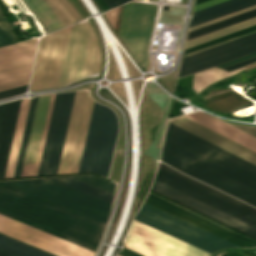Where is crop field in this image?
Returning a JSON list of instances; mask_svg holds the SVG:
<instances>
[{"label": "crop field", "instance_id": "crop-field-1", "mask_svg": "<svg viewBox=\"0 0 256 256\" xmlns=\"http://www.w3.org/2000/svg\"><path fill=\"white\" fill-rule=\"evenodd\" d=\"M161 161L256 207V166L168 123Z\"/></svg>", "mask_w": 256, "mask_h": 256}, {"label": "crop field", "instance_id": "crop-field-2", "mask_svg": "<svg viewBox=\"0 0 256 256\" xmlns=\"http://www.w3.org/2000/svg\"><path fill=\"white\" fill-rule=\"evenodd\" d=\"M0 213L95 251L105 223L0 182Z\"/></svg>", "mask_w": 256, "mask_h": 256}, {"label": "crop field", "instance_id": "crop-field-3", "mask_svg": "<svg viewBox=\"0 0 256 256\" xmlns=\"http://www.w3.org/2000/svg\"><path fill=\"white\" fill-rule=\"evenodd\" d=\"M10 185L106 223L110 204L49 178L7 181Z\"/></svg>", "mask_w": 256, "mask_h": 256}, {"label": "crop field", "instance_id": "crop-field-4", "mask_svg": "<svg viewBox=\"0 0 256 256\" xmlns=\"http://www.w3.org/2000/svg\"><path fill=\"white\" fill-rule=\"evenodd\" d=\"M134 219L210 254L226 247H239L144 203Z\"/></svg>", "mask_w": 256, "mask_h": 256}, {"label": "crop field", "instance_id": "crop-field-5", "mask_svg": "<svg viewBox=\"0 0 256 256\" xmlns=\"http://www.w3.org/2000/svg\"><path fill=\"white\" fill-rule=\"evenodd\" d=\"M99 66L100 52L90 24L73 25L59 87L97 73Z\"/></svg>", "mask_w": 256, "mask_h": 256}, {"label": "crop field", "instance_id": "crop-field-6", "mask_svg": "<svg viewBox=\"0 0 256 256\" xmlns=\"http://www.w3.org/2000/svg\"><path fill=\"white\" fill-rule=\"evenodd\" d=\"M117 130L116 120L93 109L79 172L94 171L107 177Z\"/></svg>", "mask_w": 256, "mask_h": 256}, {"label": "crop field", "instance_id": "crop-field-7", "mask_svg": "<svg viewBox=\"0 0 256 256\" xmlns=\"http://www.w3.org/2000/svg\"><path fill=\"white\" fill-rule=\"evenodd\" d=\"M70 28L41 38L29 90L58 87Z\"/></svg>", "mask_w": 256, "mask_h": 256}, {"label": "crop field", "instance_id": "crop-field-8", "mask_svg": "<svg viewBox=\"0 0 256 256\" xmlns=\"http://www.w3.org/2000/svg\"><path fill=\"white\" fill-rule=\"evenodd\" d=\"M75 92L56 94L38 175L56 174Z\"/></svg>", "mask_w": 256, "mask_h": 256}, {"label": "crop field", "instance_id": "crop-field-9", "mask_svg": "<svg viewBox=\"0 0 256 256\" xmlns=\"http://www.w3.org/2000/svg\"><path fill=\"white\" fill-rule=\"evenodd\" d=\"M256 52V33L183 57L179 75L184 76Z\"/></svg>", "mask_w": 256, "mask_h": 256}, {"label": "crop field", "instance_id": "crop-field-10", "mask_svg": "<svg viewBox=\"0 0 256 256\" xmlns=\"http://www.w3.org/2000/svg\"><path fill=\"white\" fill-rule=\"evenodd\" d=\"M37 41L0 48V91L28 84Z\"/></svg>", "mask_w": 256, "mask_h": 256}, {"label": "crop field", "instance_id": "crop-field-11", "mask_svg": "<svg viewBox=\"0 0 256 256\" xmlns=\"http://www.w3.org/2000/svg\"><path fill=\"white\" fill-rule=\"evenodd\" d=\"M176 239L133 220L125 241L157 256H209L210 254Z\"/></svg>", "mask_w": 256, "mask_h": 256}, {"label": "crop field", "instance_id": "crop-field-12", "mask_svg": "<svg viewBox=\"0 0 256 256\" xmlns=\"http://www.w3.org/2000/svg\"><path fill=\"white\" fill-rule=\"evenodd\" d=\"M0 231L59 256H93V252L0 214Z\"/></svg>", "mask_w": 256, "mask_h": 256}, {"label": "crop field", "instance_id": "crop-field-13", "mask_svg": "<svg viewBox=\"0 0 256 256\" xmlns=\"http://www.w3.org/2000/svg\"><path fill=\"white\" fill-rule=\"evenodd\" d=\"M157 6L143 3H133L127 34L124 44L136 60L147 68V48Z\"/></svg>", "mask_w": 256, "mask_h": 256}, {"label": "crop field", "instance_id": "crop-field-14", "mask_svg": "<svg viewBox=\"0 0 256 256\" xmlns=\"http://www.w3.org/2000/svg\"><path fill=\"white\" fill-rule=\"evenodd\" d=\"M155 180L256 226V214L211 194L195 185L157 169Z\"/></svg>", "mask_w": 256, "mask_h": 256}, {"label": "crop field", "instance_id": "crop-field-15", "mask_svg": "<svg viewBox=\"0 0 256 256\" xmlns=\"http://www.w3.org/2000/svg\"><path fill=\"white\" fill-rule=\"evenodd\" d=\"M151 190L256 238V227L154 180Z\"/></svg>", "mask_w": 256, "mask_h": 256}, {"label": "crop field", "instance_id": "crop-field-16", "mask_svg": "<svg viewBox=\"0 0 256 256\" xmlns=\"http://www.w3.org/2000/svg\"><path fill=\"white\" fill-rule=\"evenodd\" d=\"M170 122L256 164V153L183 117H176L169 120Z\"/></svg>", "mask_w": 256, "mask_h": 256}, {"label": "crop field", "instance_id": "crop-field-17", "mask_svg": "<svg viewBox=\"0 0 256 256\" xmlns=\"http://www.w3.org/2000/svg\"><path fill=\"white\" fill-rule=\"evenodd\" d=\"M88 91L76 92L57 174L69 173Z\"/></svg>", "mask_w": 256, "mask_h": 256}, {"label": "crop field", "instance_id": "crop-field-18", "mask_svg": "<svg viewBox=\"0 0 256 256\" xmlns=\"http://www.w3.org/2000/svg\"><path fill=\"white\" fill-rule=\"evenodd\" d=\"M50 97L40 96L38 99L24 165L35 164ZM33 169L34 165L24 166L21 176L32 175Z\"/></svg>", "mask_w": 256, "mask_h": 256}, {"label": "crop field", "instance_id": "crop-field-19", "mask_svg": "<svg viewBox=\"0 0 256 256\" xmlns=\"http://www.w3.org/2000/svg\"><path fill=\"white\" fill-rule=\"evenodd\" d=\"M185 117L253 150L256 152V138L206 114L201 111H197Z\"/></svg>", "mask_w": 256, "mask_h": 256}, {"label": "crop field", "instance_id": "crop-field-20", "mask_svg": "<svg viewBox=\"0 0 256 256\" xmlns=\"http://www.w3.org/2000/svg\"><path fill=\"white\" fill-rule=\"evenodd\" d=\"M144 203L150 205V206H153L161 211H164L170 215H173L181 220H184L190 224H193L201 229H204L210 233H213L221 238H224L230 242H233L241 247H254L255 245L247 242V241H244L236 236H233L225 231H222L214 226H211L203 221H200L192 216H189L181 211H178L170 206H167L159 201H156L150 197H146V199L144 200Z\"/></svg>", "mask_w": 256, "mask_h": 256}, {"label": "crop field", "instance_id": "crop-field-21", "mask_svg": "<svg viewBox=\"0 0 256 256\" xmlns=\"http://www.w3.org/2000/svg\"><path fill=\"white\" fill-rule=\"evenodd\" d=\"M20 101L21 99L7 103L5 106L0 128V177L4 175Z\"/></svg>", "mask_w": 256, "mask_h": 256}, {"label": "crop field", "instance_id": "crop-field-22", "mask_svg": "<svg viewBox=\"0 0 256 256\" xmlns=\"http://www.w3.org/2000/svg\"><path fill=\"white\" fill-rule=\"evenodd\" d=\"M256 4V0H228L193 13L190 26ZM189 26V27H190Z\"/></svg>", "mask_w": 256, "mask_h": 256}, {"label": "crop field", "instance_id": "crop-field-23", "mask_svg": "<svg viewBox=\"0 0 256 256\" xmlns=\"http://www.w3.org/2000/svg\"><path fill=\"white\" fill-rule=\"evenodd\" d=\"M30 99H22L4 177H13Z\"/></svg>", "mask_w": 256, "mask_h": 256}, {"label": "crop field", "instance_id": "crop-field-24", "mask_svg": "<svg viewBox=\"0 0 256 256\" xmlns=\"http://www.w3.org/2000/svg\"><path fill=\"white\" fill-rule=\"evenodd\" d=\"M0 256H55L0 234Z\"/></svg>", "mask_w": 256, "mask_h": 256}, {"label": "crop field", "instance_id": "crop-field-25", "mask_svg": "<svg viewBox=\"0 0 256 256\" xmlns=\"http://www.w3.org/2000/svg\"><path fill=\"white\" fill-rule=\"evenodd\" d=\"M35 15L40 19L49 33L58 30L64 25L52 12L43 0H24Z\"/></svg>", "mask_w": 256, "mask_h": 256}, {"label": "crop field", "instance_id": "crop-field-26", "mask_svg": "<svg viewBox=\"0 0 256 256\" xmlns=\"http://www.w3.org/2000/svg\"><path fill=\"white\" fill-rule=\"evenodd\" d=\"M93 103L94 100L88 94L70 173L78 172L79 170Z\"/></svg>", "mask_w": 256, "mask_h": 256}, {"label": "crop field", "instance_id": "crop-field-27", "mask_svg": "<svg viewBox=\"0 0 256 256\" xmlns=\"http://www.w3.org/2000/svg\"><path fill=\"white\" fill-rule=\"evenodd\" d=\"M65 26L83 20L68 0H44Z\"/></svg>", "mask_w": 256, "mask_h": 256}, {"label": "crop field", "instance_id": "crop-field-28", "mask_svg": "<svg viewBox=\"0 0 256 256\" xmlns=\"http://www.w3.org/2000/svg\"><path fill=\"white\" fill-rule=\"evenodd\" d=\"M255 24H256V17L233 24V25H230V26H227L225 28H222V29L201 35L199 37L187 40L186 44H185V48L197 45L199 43L226 35L228 33H231V32H234V31H237V30H240V29H243V28L255 25Z\"/></svg>", "mask_w": 256, "mask_h": 256}, {"label": "crop field", "instance_id": "crop-field-29", "mask_svg": "<svg viewBox=\"0 0 256 256\" xmlns=\"http://www.w3.org/2000/svg\"><path fill=\"white\" fill-rule=\"evenodd\" d=\"M51 179L61 182L65 185H68L72 188L80 190L84 193H87L91 196H94V197L101 199L103 201H106L108 203H112V199H113L114 195L111 193H108L106 191L100 190L98 188H95V187L85 184L83 182L77 181L70 177H58V178H51Z\"/></svg>", "mask_w": 256, "mask_h": 256}, {"label": "crop field", "instance_id": "crop-field-30", "mask_svg": "<svg viewBox=\"0 0 256 256\" xmlns=\"http://www.w3.org/2000/svg\"><path fill=\"white\" fill-rule=\"evenodd\" d=\"M37 99H38V97L31 99V101H30L28 115H27V119H26L25 129H24V133H23L22 143H21V147H20V152H19V157H18L14 177L20 176V174H21L22 165H23V161H24L26 148H27V143H28V139H29V134H30V130H31V125H32V121H33V116H34V112H35V108H36Z\"/></svg>", "mask_w": 256, "mask_h": 256}, {"label": "crop field", "instance_id": "crop-field-31", "mask_svg": "<svg viewBox=\"0 0 256 256\" xmlns=\"http://www.w3.org/2000/svg\"><path fill=\"white\" fill-rule=\"evenodd\" d=\"M256 16V9L188 33L187 39Z\"/></svg>", "mask_w": 256, "mask_h": 256}, {"label": "crop field", "instance_id": "crop-field-32", "mask_svg": "<svg viewBox=\"0 0 256 256\" xmlns=\"http://www.w3.org/2000/svg\"><path fill=\"white\" fill-rule=\"evenodd\" d=\"M158 167L163 169V170H165V171H167V172H169V173H171V174H173V175H176V176H178V177H180V178H182V179H184V180H186L188 182H191V183H193V184H195V185H197V186H199V187H201V188H203L205 190H208V191H210V192H212V193H214V194H216V195H218V196H220L222 198H225V199H227V200H229V201H231V202H233V203H235L237 205H240V206H242V207H244V208H246V209L256 213V209L255 208L250 207V206H248V205H246V204H244L242 202H239V201H237V200H235V199H233V198H231V197H229V196H227V195H225V194H223V193H221V192H219V191H217V190H215L213 188H210V187H208V186H206L204 184H201V183H199L197 181H194V180H192V179L182 175L181 173H179V172H177V171H175V170H173V169H171V168H169V167H167V166H165V165H163L161 163L159 164Z\"/></svg>", "mask_w": 256, "mask_h": 256}, {"label": "crop field", "instance_id": "crop-field-33", "mask_svg": "<svg viewBox=\"0 0 256 256\" xmlns=\"http://www.w3.org/2000/svg\"><path fill=\"white\" fill-rule=\"evenodd\" d=\"M72 178L83 181L85 183H88L90 185H93L95 187H98L100 189L106 190L114 194V190L116 186L115 184L102 180L100 178H97L95 176L84 175V176H74Z\"/></svg>", "mask_w": 256, "mask_h": 256}, {"label": "crop field", "instance_id": "crop-field-34", "mask_svg": "<svg viewBox=\"0 0 256 256\" xmlns=\"http://www.w3.org/2000/svg\"><path fill=\"white\" fill-rule=\"evenodd\" d=\"M253 30H256V25H255V26H252V27H249V28H246V29H243V30H240V31H237V32H234V33H231V34H228V35H226V36H223V37H220V38H217V39L208 41V42L199 44V45H197V46H194V47L185 49L184 52H183V55H184V54H187V53H190V52H193V51H195V50H198V49H201V48H204V47L213 45V44H215V43H218V42H221V41H224V40L233 38V37H235V36H238V35H241V34H244V33L250 32V31H253Z\"/></svg>", "mask_w": 256, "mask_h": 256}, {"label": "crop field", "instance_id": "crop-field-35", "mask_svg": "<svg viewBox=\"0 0 256 256\" xmlns=\"http://www.w3.org/2000/svg\"><path fill=\"white\" fill-rule=\"evenodd\" d=\"M16 39L6 22L5 18L3 17L2 13L0 12V46L16 43Z\"/></svg>", "mask_w": 256, "mask_h": 256}, {"label": "crop field", "instance_id": "crop-field-36", "mask_svg": "<svg viewBox=\"0 0 256 256\" xmlns=\"http://www.w3.org/2000/svg\"><path fill=\"white\" fill-rule=\"evenodd\" d=\"M148 196H150V197H152V198H154V199H156V200H159V201H161V202H163V203H165V204H167V205H170V206H172V207H174V208H176V209H178V210H181V211H183V212H185V213H187V214H189V215H192V216H194V217H196V218H198V219H200V220H203V221H205V222H207V223H209V224H211V225H214V226H216V227H218V228H220V229H222V230H225V231H227V232H229V233H231V234H233V235H236V236H238V237H240V238H242V239H244V240H247V241H249V242H251V243H253V244L256 245V242L253 241V240H251V239H248V238H246V237H244V236H242V235H240V234H237V233H235V232H233V231H231V230H229V229H226V228H224V227H222V226H220V225H218V224H215V223H213V222H211V221H209V220H207V219H204V218H202V217H200V216H198V215H196V214H194V213H191V212H189V211H187V210H185V209H183V208H180V207H178V206H176V205H174V204H172V203H169V202H167V201H165V200H163V199H161V198H158V197H156V196H154V195H152V194H150V193H148Z\"/></svg>", "mask_w": 256, "mask_h": 256}, {"label": "crop field", "instance_id": "crop-field-37", "mask_svg": "<svg viewBox=\"0 0 256 256\" xmlns=\"http://www.w3.org/2000/svg\"><path fill=\"white\" fill-rule=\"evenodd\" d=\"M54 96H55V94H52L50 105H49V110H48V114H47V119H46V123H45V127H44V132H43V136H42V140H41V145H40V149H39V154H38V158H37V162H36V166H35V170H34L33 175H37V173H38L39 164H40V160H41L42 150H43V146H44V141H45V137H46V132H47V128H48V123H49V119H50V114H51V109H52V105H53Z\"/></svg>", "mask_w": 256, "mask_h": 256}, {"label": "crop field", "instance_id": "crop-field-38", "mask_svg": "<svg viewBox=\"0 0 256 256\" xmlns=\"http://www.w3.org/2000/svg\"><path fill=\"white\" fill-rule=\"evenodd\" d=\"M131 4H132V2L126 4L125 7H124L122 20H121V24H120V28H119V32H118V35H119V37L121 38V40L123 42H124L127 23H128V19H129Z\"/></svg>", "mask_w": 256, "mask_h": 256}, {"label": "crop field", "instance_id": "crop-field-39", "mask_svg": "<svg viewBox=\"0 0 256 256\" xmlns=\"http://www.w3.org/2000/svg\"><path fill=\"white\" fill-rule=\"evenodd\" d=\"M255 8H256V5H253V6H251V7H248V8H245V9H242V10H239V11H236V12H233V13H230V14H227V15H225V16H222V17H219V18H216V19H213V20L204 22V23H201V24H199V25L190 27L189 30H188V32H189V31H192V30H195V29H198V28H200V27H203V26H206V25H209V24L218 22V21H220V20H223V19H226V18L235 16V15H238V14H240V13H243V12H246V11H249V10H252V9H255Z\"/></svg>", "mask_w": 256, "mask_h": 256}, {"label": "crop field", "instance_id": "crop-field-40", "mask_svg": "<svg viewBox=\"0 0 256 256\" xmlns=\"http://www.w3.org/2000/svg\"><path fill=\"white\" fill-rule=\"evenodd\" d=\"M27 86L28 85L22 86V87H18V88H14V89H10V90H6V91H2V92H0V98H4V97H8V96H13V95L24 93L27 90Z\"/></svg>", "mask_w": 256, "mask_h": 256}, {"label": "crop field", "instance_id": "crop-field-41", "mask_svg": "<svg viewBox=\"0 0 256 256\" xmlns=\"http://www.w3.org/2000/svg\"><path fill=\"white\" fill-rule=\"evenodd\" d=\"M220 120H222V119H220ZM223 121H226V120H223ZM227 122H231V121H227ZM231 123H235V122H231ZM235 124H240V123H235ZM231 125L256 137V127H249V126H256V125H249V126H241V125H234V124H231ZM242 125H244V124H242Z\"/></svg>", "mask_w": 256, "mask_h": 256}, {"label": "crop field", "instance_id": "crop-field-42", "mask_svg": "<svg viewBox=\"0 0 256 256\" xmlns=\"http://www.w3.org/2000/svg\"><path fill=\"white\" fill-rule=\"evenodd\" d=\"M255 61H256V57L245 60V61H242V62H239V63H236V64H233L231 66H228V67H225V68H222V69H224L226 71H231L233 69L239 68L241 66L247 65V64L255 62Z\"/></svg>", "mask_w": 256, "mask_h": 256}, {"label": "crop field", "instance_id": "crop-field-43", "mask_svg": "<svg viewBox=\"0 0 256 256\" xmlns=\"http://www.w3.org/2000/svg\"><path fill=\"white\" fill-rule=\"evenodd\" d=\"M223 1H225V0H209V1H206V2H204V3L195 5V6H194V9H193V12H194V11H197V10H200V9H203V8H205V7H208V6H211V5H214V4L223 2Z\"/></svg>", "mask_w": 256, "mask_h": 256}, {"label": "crop field", "instance_id": "crop-field-44", "mask_svg": "<svg viewBox=\"0 0 256 256\" xmlns=\"http://www.w3.org/2000/svg\"><path fill=\"white\" fill-rule=\"evenodd\" d=\"M118 254L122 255V256H142L136 252H133L127 248H123Z\"/></svg>", "mask_w": 256, "mask_h": 256}, {"label": "crop field", "instance_id": "crop-field-45", "mask_svg": "<svg viewBox=\"0 0 256 256\" xmlns=\"http://www.w3.org/2000/svg\"><path fill=\"white\" fill-rule=\"evenodd\" d=\"M104 1L108 4V6L110 8H112V7L118 6V5L122 4V3H125V2H127L129 0H104Z\"/></svg>", "mask_w": 256, "mask_h": 256}, {"label": "crop field", "instance_id": "crop-field-46", "mask_svg": "<svg viewBox=\"0 0 256 256\" xmlns=\"http://www.w3.org/2000/svg\"><path fill=\"white\" fill-rule=\"evenodd\" d=\"M118 9H119V7L115 8V9H112V10H109V13H108V16L111 19L113 25H115Z\"/></svg>", "mask_w": 256, "mask_h": 256}, {"label": "crop field", "instance_id": "crop-field-47", "mask_svg": "<svg viewBox=\"0 0 256 256\" xmlns=\"http://www.w3.org/2000/svg\"><path fill=\"white\" fill-rule=\"evenodd\" d=\"M125 246L130 248V249H132V250H134V251H136V252H138V253H141V254H143L145 256H154V255H152V254H150L148 252H145V251H143V250H141V249H139L137 247H134V246H132V245L126 243V242H125Z\"/></svg>", "mask_w": 256, "mask_h": 256}, {"label": "crop field", "instance_id": "crop-field-48", "mask_svg": "<svg viewBox=\"0 0 256 256\" xmlns=\"http://www.w3.org/2000/svg\"><path fill=\"white\" fill-rule=\"evenodd\" d=\"M253 56H256V53L251 54V55H248V56H245V57H242V58H239V59H237V60H234V61H231V62H228V63H225V64L220 65V66H217V67L222 68V67H225V66H228V65H230V64H233V63H236V62L245 60V59L250 58V57H253Z\"/></svg>", "mask_w": 256, "mask_h": 256}, {"label": "crop field", "instance_id": "crop-field-49", "mask_svg": "<svg viewBox=\"0 0 256 256\" xmlns=\"http://www.w3.org/2000/svg\"><path fill=\"white\" fill-rule=\"evenodd\" d=\"M254 32H256V31H253V32H250V33H247V34H244V35H241V36L235 37V38H233V39H236V38H239V37H242V36H245V35H248V34L254 33ZM233 39H230V40H233ZM230 40H227V41H230ZM227 41H224V42H227ZM224 42H221V43L215 44V45H213V46H216V45L222 44V43H224ZM213 46H210V47H213ZM210 47H207V48H210ZM207 48H204V49H207ZM204 49H201V50H204ZM201 50H198V51H201ZM198 51H195V52H198ZM195 52H193V53H195ZM190 54H192V53H190ZM187 55H189V54H187ZM184 56H186V55H184Z\"/></svg>", "mask_w": 256, "mask_h": 256}, {"label": "crop field", "instance_id": "crop-field-50", "mask_svg": "<svg viewBox=\"0 0 256 256\" xmlns=\"http://www.w3.org/2000/svg\"><path fill=\"white\" fill-rule=\"evenodd\" d=\"M98 2L103 6V8L105 10L109 9V7L107 6V4L103 1V0H98Z\"/></svg>", "mask_w": 256, "mask_h": 256}, {"label": "crop field", "instance_id": "crop-field-51", "mask_svg": "<svg viewBox=\"0 0 256 256\" xmlns=\"http://www.w3.org/2000/svg\"><path fill=\"white\" fill-rule=\"evenodd\" d=\"M4 106H5V104L0 105V124H1V119H2V115H3Z\"/></svg>", "mask_w": 256, "mask_h": 256}, {"label": "crop field", "instance_id": "crop-field-52", "mask_svg": "<svg viewBox=\"0 0 256 256\" xmlns=\"http://www.w3.org/2000/svg\"><path fill=\"white\" fill-rule=\"evenodd\" d=\"M203 1H206V0H196V1H195V4L201 3V2H203ZM195 4H194V5H195Z\"/></svg>", "mask_w": 256, "mask_h": 256}, {"label": "crop field", "instance_id": "crop-field-53", "mask_svg": "<svg viewBox=\"0 0 256 256\" xmlns=\"http://www.w3.org/2000/svg\"><path fill=\"white\" fill-rule=\"evenodd\" d=\"M219 256V255H218Z\"/></svg>", "mask_w": 256, "mask_h": 256}]
</instances>
